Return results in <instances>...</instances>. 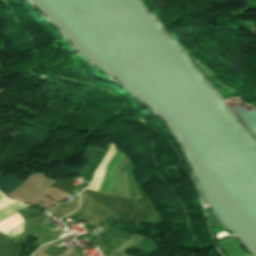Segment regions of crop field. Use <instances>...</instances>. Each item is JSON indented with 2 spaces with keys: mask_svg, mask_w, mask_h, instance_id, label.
Segmentation results:
<instances>
[{
  "mask_svg": "<svg viewBox=\"0 0 256 256\" xmlns=\"http://www.w3.org/2000/svg\"><path fill=\"white\" fill-rule=\"evenodd\" d=\"M23 180L0 172V190L6 194L14 191Z\"/></svg>",
  "mask_w": 256,
  "mask_h": 256,
  "instance_id": "8a807250",
  "label": "crop field"
}]
</instances>
